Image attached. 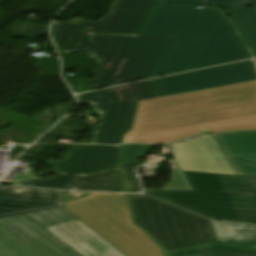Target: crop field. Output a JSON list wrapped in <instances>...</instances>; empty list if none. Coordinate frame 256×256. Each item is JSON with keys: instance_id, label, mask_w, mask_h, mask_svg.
I'll list each match as a JSON object with an SVG mask.
<instances>
[{"instance_id": "obj_1", "label": "crop field", "mask_w": 256, "mask_h": 256, "mask_svg": "<svg viewBox=\"0 0 256 256\" xmlns=\"http://www.w3.org/2000/svg\"><path fill=\"white\" fill-rule=\"evenodd\" d=\"M157 0H115L108 15L98 22H53L51 34L61 55L87 50L99 65L88 87L152 78L173 37L139 34ZM86 51V52H87Z\"/></svg>"}, {"instance_id": "obj_2", "label": "crop field", "mask_w": 256, "mask_h": 256, "mask_svg": "<svg viewBox=\"0 0 256 256\" xmlns=\"http://www.w3.org/2000/svg\"><path fill=\"white\" fill-rule=\"evenodd\" d=\"M171 147V182L146 194L207 218L256 223V178L238 176L213 136Z\"/></svg>"}, {"instance_id": "obj_3", "label": "crop field", "mask_w": 256, "mask_h": 256, "mask_svg": "<svg viewBox=\"0 0 256 256\" xmlns=\"http://www.w3.org/2000/svg\"><path fill=\"white\" fill-rule=\"evenodd\" d=\"M256 130V82L139 102L124 143H171L201 131Z\"/></svg>"}, {"instance_id": "obj_4", "label": "crop field", "mask_w": 256, "mask_h": 256, "mask_svg": "<svg viewBox=\"0 0 256 256\" xmlns=\"http://www.w3.org/2000/svg\"><path fill=\"white\" fill-rule=\"evenodd\" d=\"M143 34L203 37L185 71L251 57L218 9L158 4Z\"/></svg>"}, {"instance_id": "obj_5", "label": "crop field", "mask_w": 256, "mask_h": 256, "mask_svg": "<svg viewBox=\"0 0 256 256\" xmlns=\"http://www.w3.org/2000/svg\"><path fill=\"white\" fill-rule=\"evenodd\" d=\"M137 225L169 253L215 242L211 220L145 195H129Z\"/></svg>"}, {"instance_id": "obj_6", "label": "crop field", "mask_w": 256, "mask_h": 256, "mask_svg": "<svg viewBox=\"0 0 256 256\" xmlns=\"http://www.w3.org/2000/svg\"><path fill=\"white\" fill-rule=\"evenodd\" d=\"M65 209L124 256H167L156 242L133 224L125 195Z\"/></svg>"}, {"instance_id": "obj_7", "label": "crop field", "mask_w": 256, "mask_h": 256, "mask_svg": "<svg viewBox=\"0 0 256 256\" xmlns=\"http://www.w3.org/2000/svg\"><path fill=\"white\" fill-rule=\"evenodd\" d=\"M156 97L151 81L77 96L80 104H90L102 115L92 142L100 144H120L122 135L131 130L137 100Z\"/></svg>"}, {"instance_id": "obj_8", "label": "crop field", "mask_w": 256, "mask_h": 256, "mask_svg": "<svg viewBox=\"0 0 256 256\" xmlns=\"http://www.w3.org/2000/svg\"><path fill=\"white\" fill-rule=\"evenodd\" d=\"M119 150L120 147L116 146L76 145L65 160L47 161L59 174L44 180L23 183L21 186L75 190L74 179L117 167Z\"/></svg>"}, {"instance_id": "obj_9", "label": "crop field", "mask_w": 256, "mask_h": 256, "mask_svg": "<svg viewBox=\"0 0 256 256\" xmlns=\"http://www.w3.org/2000/svg\"><path fill=\"white\" fill-rule=\"evenodd\" d=\"M77 220L64 208L0 219V226L44 256H81L46 227Z\"/></svg>"}, {"instance_id": "obj_10", "label": "crop field", "mask_w": 256, "mask_h": 256, "mask_svg": "<svg viewBox=\"0 0 256 256\" xmlns=\"http://www.w3.org/2000/svg\"><path fill=\"white\" fill-rule=\"evenodd\" d=\"M256 80L253 61L153 80L160 97Z\"/></svg>"}, {"instance_id": "obj_11", "label": "crop field", "mask_w": 256, "mask_h": 256, "mask_svg": "<svg viewBox=\"0 0 256 256\" xmlns=\"http://www.w3.org/2000/svg\"><path fill=\"white\" fill-rule=\"evenodd\" d=\"M64 192L25 188L15 193L0 185V218L62 207Z\"/></svg>"}, {"instance_id": "obj_12", "label": "crop field", "mask_w": 256, "mask_h": 256, "mask_svg": "<svg viewBox=\"0 0 256 256\" xmlns=\"http://www.w3.org/2000/svg\"><path fill=\"white\" fill-rule=\"evenodd\" d=\"M46 230L63 240L83 256H123L79 220L49 227Z\"/></svg>"}, {"instance_id": "obj_13", "label": "crop field", "mask_w": 256, "mask_h": 256, "mask_svg": "<svg viewBox=\"0 0 256 256\" xmlns=\"http://www.w3.org/2000/svg\"><path fill=\"white\" fill-rule=\"evenodd\" d=\"M239 174L256 176V132L214 134Z\"/></svg>"}, {"instance_id": "obj_14", "label": "crop field", "mask_w": 256, "mask_h": 256, "mask_svg": "<svg viewBox=\"0 0 256 256\" xmlns=\"http://www.w3.org/2000/svg\"><path fill=\"white\" fill-rule=\"evenodd\" d=\"M201 38L175 37L154 76L185 70Z\"/></svg>"}, {"instance_id": "obj_15", "label": "crop field", "mask_w": 256, "mask_h": 256, "mask_svg": "<svg viewBox=\"0 0 256 256\" xmlns=\"http://www.w3.org/2000/svg\"><path fill=\"white\" fill-rule=\"evenodd\" d=\"M219 241L240 247L255 248L256 226L212 221Z\"/></svg>"}, {"instance_id": "obj_16", "label": "crop field", "mask_w": 256, "mask_h": 256, "mask_svg": "<svg viewBox=\"0 0 256 256\" xmlns=\"http://www.w3.org/2000/svg\"><path fill=\"white\" fill-rule=\"evenodd\" d=\"M76 190L125 192L119 168L75 180Z\"/></svg>"}, {"instance_id": "obj_17", "label": "crop field", "mask_w": 256, "mask_h": 256, "mask_svg": "<svg viewBox=\"0 0 256 256\" xmlns=\"http://www.w3.org/2000/svg\"><path fill=\"white\" fill-rule=\"evenodd\" d=\"M251 51L256 50V7L228 11Z\"/></svg>"}, {"instance_id": "obj_18", "label": "crop field", "mask_w": 256, "mask_h": 256, "mask_svg": "<svg viewBox=\"0 0 256 256\" xmlns=\"http://www.w3.org/2000/svg\"><path fill=\"white\" fill-rule=\"evenodd\" d=\"M170 256H256V250L229 247L215 243Z\"/></svg>"}, {"instance_id": "obj_19", "label": "crop field", "mask_w": 256, "mask_h": 256, "mask_svg": "<svg viewBox=\"0 0 256 256\" xmlns=\"http://www.w3.org/2000/svg\"><path fill=\"white\" fill-rule=\"evenodd\" d=\"M0 256H41L0 227Z\"/></svg>"}, {"instance_id": "obj_20", "label": "crop field", "mask_w": 256, "mask_h": 256, "mask_svg": "<svg viewBox=\"0 0 256 256\" xmlns=\"http://www.w3.org/2000/svg\"><path fill=\"white\" fill-rule=\"evenodd\" d=\"M49 26L17 22L12 24L10 37L34 39L48 33Z\"/></svg>"}, {"instance_id": "obj_21", "label": "crop field", "mask_w": 256, "mask_h": 256, "mask_svg": "<svg viewBox=\"0 0 256 256\" xmlns=\"http://www.w3.org/2000/svg\"><path fill=\"white\" fill-rule=\"evenodd\" d=\"M138 161H134L128 164H124L121 167L123 178L125 181L127 192L130 193H140L142 192L140 183L135 174V166Z\"/></svg>"}, {"instance_id": "obj_22", "label": "crop field", "mask_w": 256, "mask_h": 256, "mask_svg": "<svg viewBox=\"0 0 256 256\" xmlns=\"http://www.w3.org/2000/svg\"><path fill=\"white\" fill-rule=\"evenodd\" d=\"M150 145L129 144L121 149L120 165L144 156Z\"/></svg>"}, {"instance_id": "obj_23", "label": "crop field", "mask_w": 256, "mask_h": 256, "mask_svg": "<svg viewBox=\"0 0 256 256\" xmlns=\"http://www.w3.org/2000/svg\"><path fill=\"white\" fill-rule=\"evenodd\" d=\"M244 1H249V0H160V2H165V3L208 5V6H226V5L244 2Z\"/></svg>"}, {"instance_id": "obj_24", "label": "crop field", "mask_w": 256, "mask_h": 256, "mask_svg": "<svg viewBox=\"0 0 256 256\" xmlns=\"http://www.w3.org/2000/svg\"><path fill=\"white\" fill-rule=\"evenodd\" d=\"M248 6H256V0L227 6L226 9L239 8V7H248Z\"/></svg>"}, {"instance_id": "obj_25", "label": "crop field", "mask_w": 256, "mask_h": 256, "mask_svg": "<svg viewBox=\"0 0 256 256\" xmlns=\"http://www.w3.org/2000/svg\"><path fill=\"white\" fill-rule=\"evenodd\" d=\"M254 56L256 57V52H253Z\"/></svg>"}]
</instances>
